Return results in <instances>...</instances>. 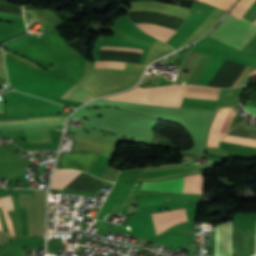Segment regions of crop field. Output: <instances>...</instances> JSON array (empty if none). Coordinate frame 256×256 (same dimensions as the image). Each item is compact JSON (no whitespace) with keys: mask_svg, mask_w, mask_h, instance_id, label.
<instances>
[{"mask_svg":"<svg viewBox=\"0 0 256 256\" xmlns=\"http://www.w3.org/2000/svg\"><path fill=\"white\" fill-rule=\"evenodd\" d=\"M234 107H222L219 114L234 116ZM232 117L218 115L207 147L217 148L218 141L227 132Z\"/></svg>","mask_w":256,"mask_h":256,"instance_id":"7","label":"crop field"},{"mask_svg":"<svg viewBox=\"0 0 256 256\" xmlns=\"http://www.w3.org/2000/svg\"><path fill=\"white\" fill-rule=\"evenodd\" d=\"M66 119L67 117L27 118V120H19V121H0V126L36 124V123L65 124Z\"/></svg>","mask_w":256,"mask_h":256,"instance_id":"12","label":"crop field"},{"mask_svg":"<svg viewBox=\"0 0 256 256\" xmlns=\"http://www.w3.org/2000/svg\"><path fill=\"white\" fill-rule=\"evenodd\" d=\"M131 64L122 62H108V71L127 73Z\"/></svg>","mask_w":256,"mask_h":256,"instance_id":"17","label":"crop field"},{"mask_svg":"<svg viewBox=\"0 0 256 256\" xmlns=\"http://www.w3.org/2000/svg\"><path fill=\"white\" fill-rule=\"evenodd\" d=\"M186 87V86H180ZM168 86L153 89H134L130 92L107 97L104 99L122 100L162 106L180 107L184 88Z\"/></svg>","mask_w":256,"mask_h":256,"instance_id":"1","label":"crop field"},{"mask_svg":"<svg viewBox=\"0 0 256 256\" xmlns=\"http://www.w3.org/2000/svg\"><path fill=\"white\" fill-rule=\"evenodd\" d=\"M136 26L144 30L146 33L164 42L174 33V30H170V29H166V28L154 26V25L136 24Z\"/></svg>","mask_w":256,"mask_h":256,"instance_id":"13","label":"crop field"},{"mask_svg":"<svg viewBox=\"0 0 256 256\" xmlns=\"http://www.w3.org/2000/svg\"><path fill=\"white\" fill-rule=\"evenodd\" d=\"M99 149L91 147L81 142L75 143L73 152L91 157L96 159L99 154ZM73 152H66L60 153L57 167L58 169L63 168H75L79 170H83L88 172L89 168L91 167L94 159L73 153Z\"/></svg>","mask_w":256,"mask_h":256,"instance_id":"4","label":"crop field"},{"mask_svg":"<svg viewBox=\"0 0 256 256\" xmlns=\"http://www.w3.org/2000/svg\"><path fill=\"white\" fill-rule=\"evenodd\" d=\"M254 0H240L235 8L232 10V13L242 16V14L247 10ZM242 18L254 23L256 20V0L248 8V10L243 14Z\"/></svg>","mask_w":256,"mask_h":256,"instance_id":"9","label":"crop field"},{"mask_svg":"<svg viewBox=\"0 0 256 256\" xmlns=\"http://www.w3.org/2000/svg\"><path fill=\"white\" fill-rule=\"evenodd\" d=\"M0 113H4L3 102H0Z\"/></svg>","mask_w":256,"mask_h":256,"instance_id":"21","label":"crop field"},{"mask_svg":"<svg viewBox=\"0 0 256 256\" xmlns=\"http://www.w3.org/2000/svg\"><path fill=\"white\" fill-rule=\"evenodd\" d=\"M62 98L71 99L79 102H87L94 97L90 96L88 93H86L84 90L77 86H73L68 92H66Z\"/></svg>","mask_w":256,"mask_h":256,"instance_id":"14","label":"crop field"},{"mask_svg":"<svg viewBox=\"0 0 256 256\" xmlns=\"http://www.w3.org/2000/svg\"><path fill=\"white\" fill-rule=\"evenodd\" d=\"M180 177L162 182H144L141 189L179 192Z\"/></svg>","mask_w":256,"mask_h":256,"instance_id":"11","label":"crop field"},{"mask_svg":"<svg viewBox=\"0 0 256 256\" xmlns=\"http://www.w3.org/2000/svg\"><path fill=\"white\" fill-rule=\"evenodd\" d=\"M233 224L216 226L215 256H232Z\"/></svg>","mask_w":256,"mask_h":256,"instance_id":"6","label":"crop field"},{"mask_svg":"<svg viewBox=\"0 0 256 256\" xmlns=\"http://www.w3.org/2000/svg\"><path fill=\"white\" fill-rule=\"evenodd\" d=\"M7 114L39 115L59 113L63 106L41 100L20 92L6 93Z\"/></svg>","mask_w":256,"mask_h":256,"instance_id":"3","label":"crop field"},{"mask_svg":"<svg viewBox=\"0 0 256 256\" xmlns=\"http://www.w3.org/2000/svg\"><path fill=\"white\" fill-rule=\"evenodd\" d=\"M0 229H2V228H1V224H0Z\"/></svg>","mask_w":256,"mask_h":256,"instance_id":"23","label":"crop field"},{"mask_svg":"<svg viewBox=\"0 0 256 256\" xmlns=\"http://www.w3.org/2000/svg\"><path fill=\"white\" fill-rule=\"evenodd\" d=\"M80 173L74 170H55L51 188L63 189Z\"/></svg>","mask_w":256,"mask_h":256,"instance_id":"10","label":"crop field"},{"mask_svg":"<svg viewBox=\"0 0 256 256\" xmlns=\"http://www.w3.org/2000/svg\"><path fill=\"white\" fill-rule=\"evenodd\" d=\"M254 74H256V70L250 72V75H254ZM250 75H249V76H250Z\"/></svg>","mask_w":256,"mask_h":256,"instance_id":"22","label":"crop field"},{"mask_svg":"<svg viewBox=\"0 0 256 256\" xmlns=\"http://www.w3.org/2000/svg\"><path fill=\"white\" fill-rule=\"evenodd\" d=\"M222 140L256 146V128L238 125Z\"/></svg>","mask_w":256,"mask_h":256,"instance_id":"8","label":"crop field"},{"mask_svg":"<svg viewBox=\"0 0 256 256\" xmlns=\"http://www.w3.org/2000/svg\"><path fill=\"white\" fill-rule=\"evenodd\" d=\"M24 131L28 142H51L47 130L26 129Z\"/></svg>","mask_w":256,"mask_h":256,"instance_id":"15","label":"crop field"},{"mask_svg":"<svg viewBox=\"0 0 256 256\" xmlns=\"http://www.w3.org/2000/svg\"><path fill=\"white\" fill-rule=\"evenodd\" d=\"M122 29H124L125 31L138 36L140 38L149 40L154 42L155 38L149 37L146 34H144L143 32H141L140 30H138L128 19V17H125L123 20L120 21L119 25ZM156 41V40H155Z\"/></svg>","mask_w":256,"mask_h":256,"instance_id":"16","label":"crop field"},{"mask_svg":"<svg viewBox=\"0 0 256 256\" xmlns=\"http://www.w3.org/2000/svg\"><path fill=\"white\" fill-rule=\"evenodd\" d=\"M99 60H116L124 62H134L139 63L140 59L136 58H127V57H118V56H99Z\"/></svg>","mask_w":256,"mask_h":256,"instance_id":"18","label":"crop field"},{"mask_svg":"<svg viewBox=\"0 0 256 256\" xmlns=\"http://www.w3.org/2000/svg\"><path fill=\"white\" fill-rule=\"evenodd\" d=\"M255 35L256 25L232 13H230L215 31L210 34V36L239 50H241Z\"/></svg>","mask_w":256,"mask_h":256,"instance_id":"2","label":"crop field"},{"mask_svg":"<svg viewBox=\"0 0 256 256\" xmlns=\"http://www.w3.org/2000/svg\"><path fill=\"white\" fill-rule=\"evenodd\" d=\"M209 3L227 10L234 2V0H207Z\"/></svg>","mask_w":256,"mask_h":256,"instance_id":"19","label":"crop field"},{"mask_svg":"<svg viewBox=\"0 0 256 256\" xmlns=\"http://www.w3.org/2000/svg\"><path fill=\"white\" fill-rule=\"evenodd\" d=\"M0 206H5L7 211L14 210L12 200H11V195L0 197Z\"/></svg>","mask_w":256,"mask_h":256,"instance_id":"20","label":"crop field"},{"mask_svg":"<svg viewBox=\"0 0 256 256\" xmlns=\"http://www.w3.org/2000/svg\"><path fill=\"white\" fill-rule=\"evenodd\" d=\"M220 89L187 86L184 96L217 99ZM184 97L181 107L215 110L217 100Z\"/></svg>","mask_w":256,"mask_h":256,"instance_id":"5","label":"crop field"}]
</instances>
